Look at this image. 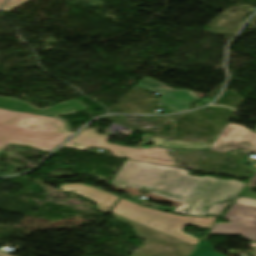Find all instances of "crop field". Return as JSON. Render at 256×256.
<instances>
[{
	"mask_svg": "<svg viewBox=\"0 0 256 256\" xmlns=\"http://www.w3.org/2000/svg\"><path fill=\"white\" fill-rule=\"evenodd\" d=\"M112 185L137 188L182 203L184 215H221L244 187L236 180L192 177L188 171L126 159Z\"/></svg>",
	"mask_w": 256,
	"mask_h": 256,
	"instance_id": "8a807250",
	"label": "crop field"
},
{
	"mask_svg": "<svg viewBox=\"0 0 256 256\" xmlns=\"http://www.w3.org/2000/svg\"><path fill=\"white\" fill-rule=\"evenodd\" d=\"M84 108L76 101H69L39 109L19 100L0 97V153L9 143L24 144L50 152L72 134L66 130L64 121L55 116ZM27 121L39 122L43 128L31 127Z\"/></svg>",
	"mask_w": 256,
	"mask_h": 256,
	"instance_id": "ac0d7876",
	"label": "crop field"
},
{
	"mask_svg": "<svg viewBox=\"0 0 256 256\" xmlns=\"http://www.w3.org/2000/svg\"><path fill=\"white\" fill-rule=\"evenodd\" d=\"M108 136L96 134V130L85 128L73 139H71L64 147H70L80 150H86L87 147L95 148L102 147L112 152V156L129 159L140 160L145 162L175 166L172 158L166 153L169 149H204L208 148L210 144H197L187 143L179 140L168 142L157 136L153 137L149 143L155 144L149 149L146 148H129L118 145L106 143ZM157 146L162 147L161 149L156 148Z\"/></svg>",
	"mask_w": 256,
	"mask_h": 256,
	"instance_id": "34b2d1b8",
	"label": "crop field"
},
{
	"mask_svg": "<svg viewBox=\"0 0 256 256\" xmlns=\"http://www.w3.org/2000/svg\"><path fill=\"white\" fill-rule=\"evenodd\" d=\"M110 212L195 245L198 244V239L183 233V229L187 225L209 229L217 219L173 216L125 199H120Z\"/></svg>",
	"mask_w": 256,
	"mask_h": 256,
	"instance_id": "412701ff",
	"label": "crop field"
},
{
	"mask_svg": "<svg viewBox=\"0 0 256 256\" xmlns=\"http://www.w3.org/2000/svg\"><path fill=\"white\" fill-rule=\"evenodd\" d=\"M112 218L128 224L146 243L131 256H188L195 245L137 224L115 214Z\"/></svg>",
	"mask_w": 256,
	"mask_h": 256,
	"instance_id": "f4fd0767",
	"label": "crop field"
},
{
	"mask_svg": "<svg viewBox=\"0 0 256 256\" xmlns=\"http://www.w3.org/2000/svg\"><path fill=\"white\" fill-rule=\"evenodd\" d=\"M221 219L231 222L216 223L204 240L210 235H241L249 241L256 242V208L233 204ZM237 222L239 224H236Z\"/></svg>",
	"mask_w": 256,
	"mask_h": 256,
	"instance_id": "dd49c442",
	"label": "crop field"
},
{
	"mask_svg": "<svg viewBox=\"0 0 256 256\" xmlns=\"http://www.w3.org/2000/svg\"><path fill=\"white\" fill-rule=\"evenodd\" d=\"M237 148L256 153V133L241 125L228 123L208 150L227 154Z\"/></svg>",
	"mask_w": 256,
	"mask_h": 256,
	"instance_id": "e52e79f7",
	"label": "crop field"
},
{
	"mask_svg": "<svg viewBox=\"0 0 256 256\" xmlns=\"http://www.w3.org/2000/svg\"><path fill=\"white\" fill-rule=\"evenodd\" d=\"M136 86L150 92L159 93L161 100L158 102L175 112L186 110L189 108L190 104L200 100L196 97L195 93L191 91L171 89L148 77L143 78Z\"/></svg>",
	"mask_w": 256,
	"mask_h": 256,
	"instance_id": "d8731c3e",
	"label": "crop field"
},
{
	"mask_svg": "<svg viewBox=\"0 0 256 256\" xmlns=\"http://www.w3.org/2000/svg\"><path fill=\"white\" fill-rule=\"evenodd\" d=\"M60 189L66 192H74L97 203L101 212H106L118 197L101 190L83 184H63Z\"/></svg>",
	"mask_w": 256,
	"mask_h": 256,
	"instance_id": "5a996713",
	"label": "crop field"
},
{
	"mask_svg": "<svg viewBox=\"0 0 256 256\" xmlns=\"http://www.w3.org/2000/svg\"><path fill=\"white\" fill-rule=\"evenodd\" d=\"M191 256V255H190ZM192 256H224L215 252L209 242L202 240Z\"/></svg>",
	"mask_w": 256,
	"mask_h": 256,
	"instance_id": "3316defc",
	"label": "crop field"
},
{
	"mask_svg": "<svg viewBox=\"0 0 256 256\" xmlns=\"http://www.w3.org/2000/svg\"><path fill=\"white\" fill-rule=\"evenodd\" d=\"M254 188H256V175L246 186V188L241 192L240 195L256 199V193L251 192Z\"/></svg>",
	"mask_w": 256,
	"mask_h": 256,
	"instance_id": "28ad6ade",
	"label": "crop field"
},
{
	"mask_svg": "<svg viewBox=\"0 0 256 256\" xmlns=\"http://www.w3.org/2000/svg\"><path fill=\"white\" fill-rule=\"evenodd\" d=\"M28 0H9L6 5L2 8L1 11H9L21 4H23L24 2H26Z\"/></svg>",
	"mask_w": 256,
	"mask_h": 256,
	"instance_id": "d1516ede",
	"label": "crop field"
},
{
	"mask_svg": "<svg viewBox=\"0 0 256 256\" xmlns=\"http://www.w3.org/2000/svg\"><path fill=\"white\" fill-rule=\"evenodd\" d=\"M234 203L244 204V205H249V206L256 207V200H254V199L238 197V199L235 200Z\"/></svg>",
	"mask_w": 256,
	"mask_h": 256,
	"instance_id": "22f410ed",
	"label": "crop field"
},
{
	"mask_svg": "<svg viewBox=\"0 0 256 256\" xmlns=\"http://www.w3.org/2000/svg\"><path fill=\"white\" fill-rule=\"evenodd\" d=\"M0 256H11V255L0 253Z\"/></svg>",
	"mask_w": 256,
	"mask_h": 256,
	"instance_id": "cbeb9de0",
	"label": "crop field"
},
{
	"mask_svg": "<svg viewBox=\"0 0 256 256\" xmlns=\"http://www.w3.org/2000/svg\"><path fill=\"white\" fill-rule=\"evenodd\" d=\"M5 0H0V6H1V4L4 2Z\"/></svg>",
	"mask_w": 256,
	"mask_h": 256,
	"instance_id": "5142ce71",
	"label": "crop field"
}]
</instances>
